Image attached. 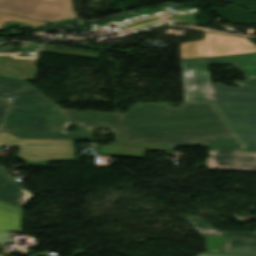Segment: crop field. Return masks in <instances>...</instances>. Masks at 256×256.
<instances>
[{
  "label": "crop field",
  "instance_id": "19",
  "mask_svg": "<svg viewBox=\"0 0 256 256\" xmlns=\"http://www.w3.org/2000/svg\"><path fill=\"white\" fill-rule=\"evenodd\" d=\"M8 103H9V101L0 99V122L2 120V117L4 115V112H5V109H6V106L8 105Z\"/></svg>",
  "mask_w": 256,
  "mask_h": 256
},
{
  "label": "crop field",
  "instance_id": "10",
  "mask_svg": "<svg viewBox=\"0 0 256 256\" xmlns=\"http://www.w3.org/2000/svg\"><path fill=\"white\" fill-rule=\"evenodd\" d=\"M0 58L5 60L12 68H14L27 80L35 78L38 66V63H36L37 58H18L15 54H0Z\"/></svg>",
  "mask_w": 256,
  "mask_h": 256
},
{
  "label": "crop field",
  "instance_id": "16",
  "mask_svg": "<svg viewBox=\"0 0 256 256\" xmlns=\"http://www.w3.org/2000/svg\"><path fill=\"white\" fill-rule=\"evenodd\" d=\"M41 51L99 58V55L41 48Z\"/></svg>",
  "mask_w": 256,
  "mask_h": 256
},
{
  "label": "crop field",
  "instance_id": "9",
  "mask_svg": "<svg viewBox=\"0 0 256 256\" xmlns=\"http://www.w3.org/2000/svg\"><path fill=\"white\" fill-rule=\"evenodd\" d=\"M0 143L15 146H59L74 147L73 140L17 139L0 131Z\"/></svg>",
  "mask_w": 256,
  "mask_h": 256
},
{
  "label": "crop field",
  "instance_id": "15",
  "mask_svg": "<svg viewBox=\"0 0 256 256\" xmlns=\"http://www.w3.org/2000/svg\"><path fill=\"white\" fill-rule=\"evenodd\" d=\"M0 75L26 80L21 75H19L15 70H13L5 61L1 59H0Z\"/></svg>",
  "mask_w": 256,
  "mask_h": 256
},
{
  "label": "crop field",
  "instance_id": "13",
  "mask_svg": "<svg viewBox=\"0 0 256 256\" xmlns=\"http://www.w3.org/2000/svg\"><path fill=\"white\" fill-rule=\"evenodd\" d=\"M216 147L231 148V149H245L237 136L218 138Z\"/></svg>",
  "mask_w": 256,
  "mask_h": 256
},
{
  "label": "crop field",
  "instance_id": "20",
  "mask_svg": "<svg viewBox=\"0 0 256 256\" xmlns=\"http://www.w3.org/2000/svg\"><path fill=\"white\" fill-rule=\"evenodd\" d=\"M202 256H238V255H228V254H212V255H207V254H204Z\"/></svg>",
  "mask_w": 256,
  "mask_h": 256
},
{
  "label": "crop field",
  "instance_id": "5",
  "mask_svg": "<svg viewBox=\"0 0 256 256\" xmlns=\"http://www.w3.org/2000/svg\"><path fill=\"white\" fill-rule=\"evenodd\" d=\"M207 166L211 169L256 170V152L214 148L209 151Z\"/></svg>",
  "mask_w": 256,
  "mask_h": 256
},
{
  "label": "crop field",
  "instance_id": "3",
  "mask_svg": "<svg viewBox=\"0 0 256 256\" xmlns=\"http://www.w3.org/2000/svg\"><path fill=\"white\" fill-rule=\"evenodd\" d=\"M0 12L48 23L79 17L73 0H0Z\"/></svg>",
  "mask_w": 256,
  "mask_h": 256
},
{
  "label": "crop field",
  "instance_id": "14",
  "mask_svg": "<svg viewBox=\"0 0 256 256\" xmlns=\"http://www.w3.org/2000/svg\"><path fill=\"white\" fill-rule=\"evenodd\" d=\"M8 21H17V22H22V23H27V24L37 25V26L48 25V23H43V22H39V21L29 20V19H25V18H21V17H16V16L0 13V29L3 25V23L8 22Z\"/></svg>",
  "mask_w": 256,
  "mask_h": 256
},
{
  "label": "crop field",
  "instance_id": "7",
  "mask_svg": "<svg viewBox=\"0 0 256 256\" xmlns=\"http://www.w3.org/2000/svg\"><path fill=\"white\" fill-rule=\"evenodd\" d=\"M34 195L30 194L0 169V200L22 206Z\"/></svg>",
  "mask_w": 256,
  "mask_h": 256
},
{
  "label": "crop field",
  "instance_id": "12",
  "mask_svg": "<svg viewBox=\"0 0 256 256\" xmlns=\"http://www.w3.org/2000/svg\"><path fill=\"white\" fill-rule=\"evenodd\" d=\"M223 253L256 256V240L229 237Z\"/></svg>",
  "mask_w": 256,
  "mask_h": 256
},
{
  "label": "crop field",
  "instance_id": "4",
  "mask_svg": "<svg viewBox=\"0 0 256 256\" xmlns=\"http://www.w3.org/2000/svg\"><path fill=\"white\" fill-rule=\"evenodd\" d=\"M7 95L15 99L9 107L52 102L30 82L0 76V98Z\"/></svg>",
  "mask_w": 256,
  "mask_h": 256
},
{
  "label": "crop field",
  "instance_id": "8",
  "mask_svg": "<svg viewBox=\"0 0 256 256\" xmlns=\"http://www.w3.org/2000/svg\"><path fill=\"white\" fill-rule=\"evenodd\" d=\"M1 232H22V208L0 202Z\"/></svg>",
  "mask_w": 256,
  "mask_h": 256
},
{
  "label": "crop field",
  "instance_id": "1",
  "mask_svg": "<svg viewBox=\"0 0 256 256\" xmlns=\"http://www.w3.org/2000/svg\"><path fill=\"white\" fill-rule=\"evenodd\" d=\"M103 124L118 141L197 145V138L235 135L213 104H183L181 109L137 104L122 116L65 111L54 103L12 107L0 130L18 138L88 140L91 131ZM70 125L77 130L68 134Z\"/></svg>",
  "mask_w": 256,
  "mask_h": 256
},
{
  "label": "crop field",
  "instance_id": "2",
  "mask_svg": "<svg viewBox=\"0 0 256 256\" xmlns=\"http://www.w3.org/2000/svg\"><path fill=\"white\" fill-rule=\"evenodd\" d=\"M180 44L185 103H213L247 150L256 151V46L245 38L204 32ZM208 64H233L246 81L210 84Z\"/></svg>",
  "mask_w": 256,
  "mask_h": 256
},
{
  "label": "crop field",
  "instance_id": "17",
  "mask_svg": "<svg viewBox=\"0 0 256 256\" xmlns=\"http://www.w3.org/2000/svg\"><path fill=\"white\" fill-rule=\"evenodd\" d=\"M217 138L198 139V145L215 147Z\"/></svg>",
  "mask_w": 256,
  "mask_h": 256
},
{
  "label": "crop field",
  "instance_id": "18",
  "mask_svg": "<svg viewBox=\"0 0 256 256\" xmlns=\"http://www.w3.org/2000/svg\"><path fill=\"white\" fill-rule=\"evenodd\" d=\"M10 233H1L0 234V244L6 243H15V240L9 238Z\"/></svg>",
  "mask_w": 256,
  "mask_h": 256
},
{
  "label": "crop field",
  "instance_id": "6",
  "mask_svg": "<svg viewBox=\"0 0 256 256\" xmlns=\"http://www.w3.org/2000/svg\"><path fill=\"white\" fill-rule=\"evenodd\" d=\"M18 157L27 162L75 161L76 149L22 148Z\"/></svg>",
  "mask_w": 256,
  "mask_h": 256
},
{
  "label": "crop field",
  "instance_id": "11",
  "mask_svg": "<svg viewBox=\"0 0 256 256\" xmlns=\"http://www.w3.org/2000/svg\"><path fill=\"white\" fill-rule=\"evenodd\" d=\"M183 217L191 224V226L198 233L256 239V232L255 233L253 232L229 233V232L216 231L206 219L199 218L196 216H183Z\"/></svg>",
  "mask_w": 256,
  "mask_h": 256
}]
</instances>
